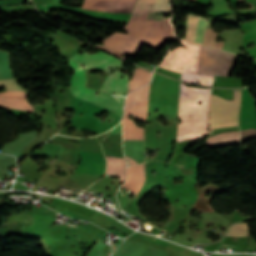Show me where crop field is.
I'll list each match as a JSON object with an SVG mask.
<instances>
[{
  "label": "crop field",
  "mask_w": 256,
  "mask_h": 256,
  "mask_svg": "<svg viewBox=\"0 0 256 256\" xmlns=\"http://www.w3.org/2000/svg\"><path fill=\"white\" fill-rule=\"evenodd\" d=\"M85 66V69L88 70H102L104 72H109V68H116L117 66L121 65V60L106 54L102 51L95 55L89 54H82V55H75L71 58Z\"/></svg>",
  "instance_id": "crop-field-6"
},
{
  "label": "crop field",
  "mask_w": 256,
  "mask_h": 256,
  "mask_svg": "<svg viewBox=\"0 0 256 256\" xmlns=\"http://www.w3.org/2000/svg\"><path fill=\"white\" fill-rule=\"evenodd\" d=\"M216 37H217V33L213 32L212 29H207L203 44L221 49L224 42L215 43Z\"/></svg>",
  "instance_id": "crop-field-16"
},
{
  "label": "crop field",
  "mask_w": 256,
  "mask_h": 256,
  "mask_svg": "<svg viewBox=\"0 0 256 256\" xmlns=\"http://www.w3.org/2000/svg\"><path fill=\"white\" fill-rule=\"evenodd\" d=\"M234 93V102L211 95L209 133L216 128L239 126L241 90H234Z\"/></svg>",
  "instance_id": "crop-field-2"
},
{
  "label": "crop field",
  "mask_w": 256,
  "mask_h": 256,
  "mask_svg": "<svg viewBox=\"0 0 256 256\" xmlns=\"http://www.w3.org/2000/svg\"><path fill=\"white\" fill-rule=\"evenodd\" d=\"M127 159H129V166H131V165H136L137 164V162L136 161H134L133 159H131V158H128L127 156H125Z\"/></svg>",
  "instance_id": "crop-field-24"
},
{
  "label": "crop field",
  "mask_w": 256,
  "mask_h": 256,
  "mask_svg": "<svg viewBox=\"0 0 256 256\" xmlns=\"http://www.w3.org/2000/svg\"><path fill=\"white\" fill-rule=\"evenodd\" d=\"M249 90H242L240 126H256V100L249 95Z\"/></svg>",
  "instance_id": "crop-field-9"
},
{
  "label": "crop field",
  "mask_w": 256,
  "mask_h": 256,
  "mask_svg": "<svg viewBox=\"0 0 256 256\" xmlns=\"http://www.w3.org/2000/svg\"><path fill=\"white\" fill-rule=\"evenodd\" d=\"M225 189L226 188L212 186V185L207 184L202 189H199V198H198V200H197V202H196L194 207H196L201 212L212 211L210 206H209V202H210L212 196L215 193H220V192H222ZM207 192L212 193V195L206 199V198H204V194L207 193Z\"/></svg>",
  "instance_id": "crop-field-12"
},
{
  "label": "crop field",
  "mask_w": 256,
  "mask_h": 256,
  "mask_svg": "<svg viewBox=\"0 0 256 256\" xmlns=\"http://www.w3.org/2000/svg\"><path fill=\"white\" fill-rule=\"evenodd\" d=\"M248 232L249 229L246 223H237L230 228L226 237L245 236L249 235Z\"/></svg>",
  "instance_id": "crop-field-14"
},
{
  "label": "crop field",
  "mask_w": 256,
  "mask_h": 256,
  "mask_svg": "<svg viewBox=\"0 0 256 256\" xmlns=\"http://www.w3.org/2000/svg\"><path fill=\"white\" fill-rule=\"evenodd\" d=\"M2 86L6 87L7 91L21 89L20 87L17 86L14 79L0 81V87ZM0 106L15 108V109H23V110L34 112L33 106L28 104L26 99L0 97Z\"/></svg>",
  "instance_id": "crop-field-10"
},
{
  "label": "crop field",
  "mask_w": 256,
  "mask_h": 256,
  "mask_svg": "<svg viewBox=\"0 0 256 256\" xmlns=\"http://www.w3.org/2000/svg\"><path fill=\"white\" fill-rule=\"evenodd\" d=\"M183 43L186 47H179L175 52H170L159 67L178 73L197 74L199 54L202 46H196L186 41Z\"/></svg>",
  "instance_id": "crop-field-5"
},
{
  "label": "crop field",
  "mask_w": 256,
  "mask_h": 256,
  "mask_svg": "<svg viewBox=\"0 0 256 256\" xmlns=\"http://www.w3.org/2000/svg\"><path fill=\"white\" fill-rule=\"evenodd\" d=\"M150 84L131 93L127 96L123 120H129L128 115H133L134 119L145 121L148 101H149ZM123 122V139L144 140V129L137 128L134 121Z\"/></svg>",
  "instance_id": "crop-field-1"
},
{
  "label": "crop field",
  "mask_w": 256,
  "mask_h": 256,
  "mask_svg": "<svg viewBox=\"0 0 256 256\" xmlns=\"http://www.w3.org/2000/svg\"><path fill=\"white\" fill-rule=\"evenodd\" d=\"M155 0H138L131 17L148 13Z\"/></svg>",
  "instance_id": "crop-field-15"
},
{
  "label": "crop field",
  "mask_w": 256,
  "mask_h": 256,
  "mask_svg": "<svg viewBox=\"0 0 256 256\" xmlns=\"http://www.w3.org/2000/svg\"><path fill=\"white\" fill-rule=\"evenodd\" d=\"M143 73H144V69H141L136 89L141 87V83H142V79H143ZM151 75H152V72H149V71L145 70L142 86H144L145 84H147L151 80Z\"/></svg>",
  "instance_id": "crop-field-19"
},
{
  "label": "crop field",
  "mask_w": 256,
  "mask_h": 256,
  "mask_svg": "<svg viewBox=\"0 0 256 256\" xmlns=\"http://www.w3.org/2000/svg\"><path fill=\"white\" fill-rule=\"evenodd\" d=\"M139 71H140V68H136L135 67L132 79H131V81H129L128 93L135 90L136 84H137V80H138Z\"/></svg>",
  "instance_id": "crop-field-21"
},
{
  "label": "crop field",
  "mask_w": 256,
  "mask_h": 256,
  "mask_svg": "<svg viewBox=\"0 0 256 256\" xmlns=\"http://www.w3.org/2000/svg\"><path fill=\"white\" fill-rule=\"evenodd\" d=\"M68 61H70L69 66L75 70V74L72 77L71 86L69 87L75 97L106 107L122 117V106L119 104V102L116 101L111 95L101 92H99V95H96V92L98 91L85 88L84 85L86 77L83 66L70 59Z\"/></svg>",
  "instance_id": "crop-field-3"
},
{
  "label": "crop field",
  "mask_w": 256,
  "mask_h": 256,
  "mask_svg": "<svg viewBox=\"0 0 256 256\" xmlns=\"http://www.w3.org/2000/svg\"><path fill=\"white\" fill-rule=\"evenodd\" d=\"M111 134H121V123L113 129Z\"/></svg>",
  "instance_id": "crop-field-22"
},
{
  "label": "crop field",
  "mask_w": 256,
  "mask_h": 256,
  "mask_svg": "<svg viewBox=\"0 0 256 256\" xmlns=\"http://www.w3.org/2000/svg\"><path fill=\"white\" fill-rule=\"evenodd\" d=\"M160 10L172 11L169 7V0H156L150 13Z\"/></svg>",
  "instance_id": "crop-field-18"
},
{
  "label": "crop field",
  "mask_w": 256,
  "mask_h": 256,
  "mask_svg": "<svg viewBox=\"0 0 256 256\" xmlns=\"http://www.w3.org/2000/svg\"><path fill=\"white\" fill-rule=\"evenodd\" d=\"M0 8L5 12V14L24 12V11L35 12L32 5H16V6H6V7H0Z\"/></svg>",
  "instance_id": "crop-field-17"
},
{
  "label": "crop field",
  "mask_w": 256,
  "mask_h": 256,
  "mask_svg": "<svg viewBox=\"0 0 256 256\" xmlns=\"http://www.w3.org/2000/svg\"><path fill=\"white\" fill-rule=\"evenodd\" d=\"M200 57L198 74L228 76L238 56L203 46Z\"/></svg>",
  "instance_id": "crop-field-4"
},
{
  "label": "crop field",
  "mask_w": 256,
  "mask_h": 256,
  "mask_svg": "<svg viewBox=\"0 0 256 256\" xmlns=\"http://www.w3.org/2000/svg\"><path fill=\"white\" fill-rule=\"evenodd\" d=\"M207 142L211 148L239 144V132L221 133L208 138Z\"/></svg>",
  "instance_id": "crop-field-13"
},
{
  "label": "crop field",
  "mask_w": 256,
  "mask_h": 256,
  "mask_svg": "<svg viewBox=\"0 0 256 256\" xmlns=\"http://www.w3.org/2000/svg\"><path fill=\"white\" fill-rule=\"evenodd\" d=\"M103 247H104V244H103ZM103 247H102V244H101V242L99 240L96 243V245L94 246L93 250L89 253L88 256H104ZM104 251H105V249H104ZM105 256H106V253H105Z\"/></svg>",
  "instance_id": "crop-field-20"
},
{
  "label": "crop field",
  "mask_w": 256,
  "mask_h": 256,
  "mask_svg": "<svg viewBox=\"0 0 256 256\" xmlns=\"http://www.w3.org/2000/svg\"><path fill=\"white\" fill-rule=\"evenodd\" d=\"M122 77H124V79H121ZM126 88H127V75H122L121 72L116 71L107 77L105 83L101 88V91H105L110 94L114 92L113 95L117 98V100L123 106Z\"/></svg>",
  "instance_id": "crop-field-8"
},
{
  "label": "crop field",
  "mask_w": 256,
  "mask_h": 256,
  "mask_svg": "<svg viewBox=\"0 0 256 256\" xmlns=\"http://www.w3.org/2000/svg\"><path fill=\"white\" fill-rule=\"evenodd\" d=\"M97 46H99V47H101V48H103V49H105V50H107V51H109V52H111V53L117 54L118 56L124 58V55H122V54H120V53H118V52H116V51H112V50H110V49H108V48H106V47H104V46H102V45H97Z\"/></svg>",
  "instance_id": "crop-field-23"
},
{
  "label": "crop field",
  "mask_w": 256,
  "mask_h": 256,
  "mask_svg": "<svg viewBox=\"0 0 256 256\" xmlns=\"http://www.w3.org/2000/svg\"><path fill=\"white\" fill-rule=\"evenodd\" d=\"M207 21V19L188 14V28L185 39L196 44H202Z\"/></svg>",
  "instance_id": "crop-field-11"
},
{
  "label": "crop field",
  "mask_w": 256,
  "mask_h": 256,
  "mask_svg": "<svg viewBox=\"0 0 256 256\" xmlns=\"http://www.w3.org/2000/svg\"><path fill=\"white\" fill-rule=\"evenodd\" d=\"M137 0H85L82 7L131 14Z\"/></svg>",
  "instance_id": "crop-field-7"
}]
</instances>
